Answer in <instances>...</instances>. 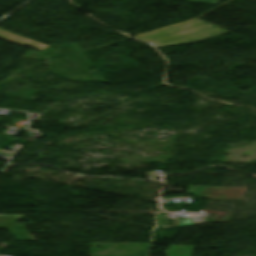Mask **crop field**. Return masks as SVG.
<instances>
[{"instance_id": "8a807250", "label": "crop field", "mask_w": 256, "mask_h": 256, "mask_svg": "<svg viewBox=\"0 0 256 256\" xmlns=\"http://www.w3.org/2000/svg\"><path fill=\"white\" fill-rule=\"evenodd\" d=\"M227 33L199 20H193L178 26L152 34L137 37L151 43L154 47L196 42Z\"/></svg>"}, {"instance_id": "ac0d7876", "label": "crop field", "mask_w": 256, "mask_h": 256, "mask_svg": "<svg viewBox=\"0 0 256 256\" xmlns=\"http://www.w3.org/2000/svg\"><path fill=\"white\" fill-rule=\"evenodd\" d=\"M190 187L187 193L200 192L198 198L209 199H242L247 188H229V187ZM203 190V192H202ZM202 192V193H201Z\"/></svg>"}, {"instance_id": "34b2d1b8", "label": "crop field", "mask_w": 256, "mask_h": 256, "mask_svg": "<svg viewBox=\"0 0 256 256\" xmlns=\"http://www.w3.org/2000/svg\"><path fill=\"white\" fill-rule=\"evenodd\" d=\"M25 217L0 216V229H6L15 239L22 241L36 240L24 227L23 223H16Z\"/></svg>"}, {"instance_id": "412701ff", "label": "crop field", "mask_w": 256, "mask_h": 256, "mask_svg": "<svg viewBox=\"0 0 256 256\" xmlns=\"http://www.w3.org/2000/svg\"><path fill=\"white\" fill-rule=\"evenodd\" d=\"M18 140V138L0 136V150L12 145Z\"/></svg>"}, {"instance_id": "f4fd0767", "label": "crop field", "mask_w": 256, "mask_h": 256, "mask_svg": "<svg viewBox=\"0 0 256 256\" xmlns=\"http://www.w3.org/2000/svg\"><path fill=\"white\" fill-rule=\"evenodd\" d=\"M184 1L203 2V3H212V4L217 3V0H184Z\"/></svg>"}]
</instances>
